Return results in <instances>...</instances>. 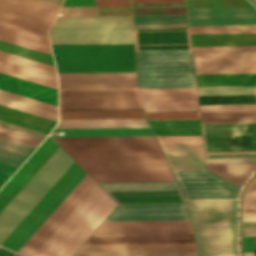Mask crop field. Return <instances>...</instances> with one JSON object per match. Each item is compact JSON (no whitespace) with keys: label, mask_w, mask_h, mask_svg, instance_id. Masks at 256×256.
<instances>
[{"label":"crop field","mask_w":256,"mask_h":256,"mask_svg":"<svg viewBox=\"0 0 256 256\" xmlns=\"http://www.w3.org/2000/svg\"><path fill=\"white\" fill-rule=\"evenodd\" d=\"M53 139L69 155L162 153L155 136ZM71 157L96 182L175 181L163 154Z\"/></svg>","instance_id":"obj_1"},{"label":"crop field","mask_w":256,"mask_h":256,"mask_svg":"<svg viewBox=\"0 0 256 256\" xmlns=\"http://www.w3.org/2000/svg\"><path fill=\"white\" fill-rule=\"evenodd\" d=\"M186 201L199 256H238L237 198Z\"/></svg>","instance_id":"obj_2"},{"label":"crop field","mask_w":256,"mask_h":256,"mask_svg":"<svg viewBox=\"0 0 256 256\" xmlns=\"http://www.w3.org/2000/svg\"><path fill=\"white\" fill-rule=\"evenodd\" d=\"M116 205L96 184L33 256H71Z\"/></svg>","instance_id":"obj_3"},{"label":"crop field","mask_w":256,"mask_h":256,"mask_svg":"<svg viewBox=\"0 0 256 256\" xmlns=\"http://www.w3.org/2000/svg\"><path fill=\"white\" fill-rule=\"evenodd\" d=\"M51 44L133 43L131 16L56 17Z\"/></svg>","instance_id":"obj_4"},{"label":"crop field","mask_w":256,"mask_h":256,"mask_svg":"<svg viewBox=\"0 0 256 256\" xmlns=\"http://www.w3.org/2000/svg\"><path fill=\"white\" fill-rule=\"evenodd\" d=\"M51 47L58 72L135 71L133 44Z\"/></svg>","instance_id":"obj_5"},{"label":"crop field","mask_w":256,"mask_h":256,"mask_svg":"<svg viewBox=\"0 0 256 256\" xmlns=\"http://www.w3.org/2000/svg\"><path fill=\"white\" fill-rule=\"evenodd\" d=\"M138 87L195 86L191 49L136 50Z\"/></svg>","instance_id":"obj_6"},{"label":"crop field","mask_w":256,"mask_h":256,"mask_svg":"<svg viewBox=\"0 0 256 256\" xmlns=\"http://www.w3.org/2000/svg\"><path fill=\"white\" fill-rule=\"evenodd\" d=\"M74 161L59 147L0 212V244Z\"/></svg>","instance_id":"obj_7"},{"label":"crop field","mask_w":256,"mask_h":256,"mask_svg":"<svg viewBox=\"0 0 256 256\" xmlns=\"http://www.w3.org/2000/svg\"><path fill=\"white\" fill-rule=\"evenodd\" d=\"M206 159L256 158V122L202 123Z\"/></svg>","instance_id":"obj_8"},{"label":"crop field","mask_w":256,"mask_h":256,"mask_svg":"<svg viewBox=\"0 0 256 256\" xmlns=\"http://www.w3.org/2000/svg\"><path fill=\"white\" fill-rule=\"evenodd\" d=\"M196 73L256 72V46L192 47Z\"/></svg>","instance_id":"obj_9"},{"label":"crop field","mask_w":256,"mask_h":256,"mask_svg":"<svg viewBox=\"0 0 256 256\" xmlns=\"http://www.w3.org/2000/svg\"><path fill=\"white\" fill-rule=\"evenodd\" d=\"M60 110L143 108L136 89L59 90Z\"/></svg>","instance_id":"obj_10"},{"label":"crop field","mask_w":256,"mask_h":256,"mask_svg":"<svg viewBox=\"0 0 256 256\" xmlns=\"http://www.w3.org/2000/svg\"><path fill=\"white\" fill-rule=\"evenodd\" d=\"M96 183L86 174L18 253L32 256Z\"/></svg>","instance_id":"obj_11"},{"label":"crop field","mask_w":256,"mask_h":256,"mask_svg":"<svg viewBox=\"0 0 256 256\" xmlns=\"http://www.w3.org/2000/svg\"><path fill=\"white\" fill-rule=\"evenodd\" d=\"M185 198L238 197L239 189L207 171H172Z\"/></svg>","instance_id":"obj_12"},{"label":"crop field","mask_w":256,"mask_h":256,"mask_svg":"<svg viewBox=\"0 0 256 256\" xmlns=\"http://www.w3.org/2000/svg\"><path fill=\"white\" fill-rule=\"evenodd\" d=\"M146 112L198 111L196 88L139 89Z\"/></svg>","instance_id":"obj_13"},{"label":"crop field","mask_w":256,"mask_h":256,"mask_svg":"<svg viewBox=\"0 0 256 256\" xmlns=\"http://www.w3.org/2000/svg\"><path fill=\"white\" fill-rule=\"evenodd\" d=\"M0 72L57 88L54 66L0 51Z\"/></svg>","instance_id":"obj_14"},{"label":"crop field","mask_w":256,"mask_h":256,"mask_svg":"<svg viewBox=\"0 0 256 256\" xmlns=\"http://www.w3.org/2000/svg\"><path fill=\"white\" fill-rule=\"evenodd\" d=\"M59 88L136 87L135 72L58 73Z\"/></svg>","instance_id":"obj_15"},{"label":"crop field","mask_w":256,"mask_h":256,"mask_svg":"<svg viewBox=\"0 0 256 256\" xmlns=\"http://www.w3.org/2000/svg\"><path fill=\"white\" fill-rule=\"evenodd\" d=\"M192 232L189 220L103 221L93 234Z\"/></svg>","instance_id":"obj_16"},{"label":"crop field","mask_w":256,"mask_h":256,"mask_svg":"<svg viewBox=\"0 0 256 256\" xmlns=\"http://www.w3.org/2000/svg\"><path fill=\"white\" fill-rule=\"evenodd\" d=\"M189 219L186 204L118 205L105 220Z\"/></svg>","instance_id":"obj_17"},{"label":"crop field","mask_w":256,"mask_h":256,"mask_svg":"<svg viewBox=\"0 0 256 256\" xmlns=\"http://www.w3.org/2000/svg\"><path fill=\"white\" fill-rule=\"evenodd\" d=\"M82 169L74 162L38 204L29 212L1 246L11 249Z\"/></svg>","instance_id":"obj_18"},{"label":"crop field","mask_w":256,"mask_h":256,"mask_svg":"<svg viewBox=\"0 0 256 256\" xmlns=\"http://www.w3.org/2000/svg\"><path fill=\"white\" fill-rule=\"evenodd\" d=\"M196 253L194 243L82 245L75 255Z\"/></svg>","instance_id":"obj_19"},{"label":"crop field","mask_w":256,"mask_h":256,"mask_svg":"<svg viewBox=\"0 0 256 256\" xmlns=\"http://www.w3.org/2000/svg\"><path fill=\"white\" fill-rule=\"evenodd\" d=\"M136 49L191 48L188 28L134 29Z\"/></svg>","instance_id":"obj_20"},{"label":"crop field","mask_w":256,"mask_h":256,"mask_svg":"<svg viewBox=\"0 0 256 256\" xmlns=\"http://www.w3.org/2000/svg\"><path fill=\"white\" fill-rule=\"evenodd\" d=\"M190 25L256 24L254 8L187 9Z\"/></svg>","instance_id":"obj_21"},{"label":"crop field","mask_w":256,"mask_h":256,"mask_svg":"<svg viewBox=\"0 0 256 256\" xmlns=\"http://www.w3.org/2000/svg\"><path fill=\"white\" fill-rule=\"evenodd\" d=\"M160 145L172 170H205L201 143Z\"/></svg>","instance_id":"obj_22"},{"label":"crop field","mask_w":256,"mask_h":256,"mask_svg":"<svg viewBox=\"0 0 256 256\" xmlns=\"http://www.w3.org/2000/svg\"><path fill=\"white\" fill-rule=\"evenodd\" d=\"M194 242L192 233L91 235L84 244Z\"/></svg>","instance_id":"obj_23"},{"label":"crop field","mask_w":256,"mask_h":256,"mask_svg":"<svg viewBox=\"0 0 256 256\" xmlns=\"http://www.w3.org/2000/svg\"><path fill=\"white\" fill-rule=\"evenodd\" d=\"M50 24L51 21L0 7V26L2 27L47 39Z\"/></svg>","instance_id":"obj_24"},{"label":"crop field","mask_w":256,"mask_h":256,"mask_svg":"<svg viewBox=\"0 0 256 256\" xmlns=\"http://www.w3.org/2000/svg\"><path fill=\"white\" fill-rule=\"evenodd\" d=\"M0 89L57 106V90L1 73Z\"/></svg>","instance_id":"obj_25"},{"label":"crop field","mask_w":256,"mask_h":256,"mask_svg":"<svg viewBox=\"0 0 256 256\" xmlns=\"http://www.w3.org/2000/svg\"><path fill=\"white\" fill-rule=\"evenodd\" d=\"M0 104L58 121L57 107L0 90Z\"/></svg>","instance_id":"obj_26"},{"label":"crop field","mask_w":256,"mask_h":256,"mask_svg":"<svg viewBox=\"0 0 256 256\" xmlns=\"http://www.w3.org/2000/svg\"><path fill=\"white\" fill-rule=\"evenodd\" d=\"M0 120L46 134H49L51 129L56 124V121L35 116L2 105H0Z\"/></svg>","instance_id":"obj_27"},{"label":"crop field","mask_w":256,"mask_h":256,"mask_svg":"<svg viewBox=\"0 0 256 256\" xmlns=\"http://www.w3.org/2000/svg\"><path fill=\"white\" fill-rule=\"evenodd\" d=\"M192 46L256 45V33L191 34Z\"/></svg>","instance_id":"obj_28"},{"label":"crop field","mask_w":256,"mask_h":256,"mask_svg":"<svg viewBox=\"0 0 256 256\" xmlns=\"http://www.w3.org/2000/svg\"><path fill=\"white\" fill-rule=\"evenodd\" d=\"M0 6L51 21L61 7L43 0H0Z\"/></svg>","instance_id":"obj_29"},{"label":"crop field","mask_w":256,"mask_h":256,"mask_svg":"<svg viewBox=\"0 0 256 256\" xmlns=\"http://www.w3.org/2000/svg\"><path fill=\"white\" fill-rule=\"evenodd\" d=\"M117 203L185 202L180 191L108 193Z\"/></svg>","instance_id":"obj_30"},{"label":"crop field","mask_w":256,"mask_h":256,"mask_svg":"<svg viewBox=\"0 0 256 256\" xmlns=\"http://www.w3.org/2000/svg\"><path fill=\"white\" fill-rule=\"evenodd\" d=\"M150 127L147 119L60 120L55 128Z\"/></svg>","instance_id":"obj_31"},{"label":"crop field","mask_w":256,"mask_h":256,"mask_svg":"<svg viewBox=\"0 0 256 256\" xmlns=\"http://www.w3.org/2000/svg\"><path fill=\"white\" fill-rule=\"evenodd\" d=\"M155 135H201L199 120H149Z\"/></svg>","instance_id":"obj_32"},{"label":"crop field","mask_w":256,"mask_h":256,"mask_svg":"<svg viewBox=\"0 0 256 256\" xmlns=\"http://www.w3.org/2000/svg\"><path fill=\"white\" fill-rule=\"evenodd\" d=\"M146 118L143 109L60 111V119Z\"/></svg>","instance_id":"obj_33"},{"label":"crop field","mask_w":256,"mask_h":256,"mask_svg":"<svg viewBox=\"0 0 256 256\" xmlns=\"http://www.w3.org/2000/svg\"><path fill=\"white\" fill-rule=\"evenodd\" d=\"M197 86L256 85V73L196 74Z\"/></svg>","instance_id":"obj_34"},{"label":"crop field","mask_w":256,"mask_h":256,"mask_svg":"<svg viewBox=\"0 0 256 256\" xmlns=\"http://www.w3.org/2000/svg\"><path fill=\"white\" fill-rule=\"evenodd\" d=\"M53 131H64V135L51 137L154 135L151 128L53 129Z\"/></svg>","instance_id":"obj_35"},{"label":"crop field","mask_w":256,"mask_h":256,"mask_svg":"<svg viewBox=\"0 0 256 256\" xmlns=\"http://www.w3.org/2000/svg\"><path fill=\"white\" fill-rule=\"evenodd\" d=\"M55 142L48 136L11 179L2 187L0 194L8 196Z\"/></svg>","instance_id":"obj_36"},{"label":"crop field","mask_w":256,"mask_h":256,"mask_svg":"<svg viewBox=\"0 0 256 256\" xmlns=\"http://www.w3.org/2000/svg\"><path fill=\"white\" fill-rule=\"evenodd\" d=\"M206 167L210 171L241 186L255 169L256 163L206 164Z\"/></svg>","instance_id":"obj_37"},{"label":"crop field","mask_w":256,"mask_h":256,"mask_svg":"<svg viewBox=\"0 0 256 256\" xmlns=\"http://www.w3.org/2000/svg\"><path fill=\"white\" fill-rule=\"evenodd\" d=\"M0 40L51 54L49 42L47 40L15 32L2 27H0Z\"/></svg>","instance_id":"obj_38"},{"label":"crop field","mask_w":256,"mask_h":256,"mask_svg":"<svg viewBox=\"0 0 256 256\" xmlns=\"http://www.w3.org/2000/svg\"><path fill=\"white\" fill-rule=\"evenodd\" d=\"M106 192L179 190L176 182L98 183Z\"/></svg>","instance_id":"obj_39"},{"label":"crop field","mask_w":256,"mask_h":256,"mask_svg":"<svg viewBox=\"0 0 256 256\" xmlns=\"http://www.w3.org/2000/svg\"><path fill=\"white\" fill-rule=\"evenodd\" d=\"M35 147L0 138V161L20 166Z\"/></svg>","instance_id":"obj_40"},{"label":"crop field","mask_w":256,"mask_h":256,"mask_svg":"<svg viewBox=\"0 0 256 256\" xmlns=\"http://www.w3.org/2000/svg\"><path fill=\"white\" fill-rule=\"evenodd\" d=\"M47 135L0 122V137L37 147Z\"/></svg>","instance_id":"obj_41"},{"label":"crop field","mask_w":256,"mask_h":256,"mask_svg":"<svg viewBox=\"0 0 256 256\" xmlns=\"http://www.w3.org/2000/svg\"><path fill=\"white\" fill-rule=\"evenodd\" d=\"M86 173L82 170L79 175L70 183V185L61 193V195L52 203V205L43 213V215L34 223V225L25 233V235L12 248L18 251L20 247L28 240L35 230L43 223V221L51 214V212L59 205V203L67 196L74 186L82 179Z\"/></svg>","instance_id":"obj_42"},{"label":"crop field","mask_w":256,"mask_h":256,"mask_svg":"<svg viewBox=\"0 0 256 256\" xmlns=\"http://www.w3.org/2000/svg\"><path fill=\"white\" fill-rule=\"evenodd\" d=\"M256 220V176L245 188L242 202V221Z\"/></svg>","instance_id":"obj_43"},{"label":"crop field","mask_w":256,"mask_h":256,"mask_svg":"<svg viewBox=\"0 0 256 256\" xmlns=\"http://www.w3.org/2000/svg\"><path fill=\"white\" fill-rule=\"evenodd\" d=\"M0 50L50 65H54L53 57L44 53H40L34 50L16 46L10 43L0 41ZM55 66V65H54Z\"/></svg>","instance_id":"obj_44"},{"label":"crop field","mask_w":256,"mask_h":256,"mask_svg":"<svg viewBox=\"0 0 256 256\" xmlns=\"http://www.w3.org/2000/svg\"><path fill=\"white\" fill-rule=\"evenodd\" d=\"M202 122L256 121V112L201 113Z\"/></svg>","instance_id":"obj_45"},{"label":"crop field","mask_w":256,"mask_h":256,"mask_svg":"<svg viewBox=\"0 0 256 256\" xmlns=\"http://www.w3.org/2000/svg\"><path fill=\"white\" fill-rule=\"evenodd\" d=\"M191 33L256 32V25L190 26Z\"/></svg>","instance_id":"obj_46"},{"label":"crop field","mask_w":256,"mask_h":256,"mask_svg":"<svg viewBox=\"0 0 256 256\" xmlns=\"http://www.w3.org/2000/svg\"><path fill=\"white\" fill-rule=\"evenodd\" d=\"M200 104L256 103L255 95L199 96Z\"/></svg>","instance_id":"obj_47"},{"label":"crop field","mask_w":256,"mask_h":256,"mask_svg":"<svg viewBox=\"0 0 256 256\" xmlns=\"http://www.w3.org/2000/svg\"><path fill=\"white\" fill-rule=\"evenodd\" d=\"M134 24L188 23L186 15L133 16Z\"/></svg>","instance_id":"obj_48"},{"label":"crop field","mask_w":256,"mask_h":256,"mask_svg":"<svg viewBox=\"0 0 256 256\" xmlns=\"http://www.w3.org/2000/svg\"><path fill=\"white\" fill-rule=\"evenodd\" d=\"M256 87L198 88L199 95L255 94Z\"/></svg>","instance_id":"obj_49"},{"label":"crop field","mask_w":256,"mask_h":256,"mask_svg":"<svg viewBox=\"0 0 256 256\" xmlns=\"http://www.w3.org/2000/svg\"><path fill=\"white\" fill-rule=\"evenodd\" d=\"M201 112L256 111V104L200 105Z\"/></svg>","instance_id":"obj_50"},{"label":"crop field","mask_w":256,"mask_h":256,"mask_svg":"<svg viewBox=\"0 0 256 256\" xmlns=\"http://www.w3.org/2000/svg\"><path fill=\"white\" fill-rule=\"evenodd\" d=\"M149 119H199L198 112L146 113Z\"/></svg>","instance_id":"obj_51"},{"label":"crop field","mask_w":256,"mask_h":256,"mask_svg":"<svg viewBox=\"0 0 256 256\" xmlns=\"http://www.w3.org/2000/svg\"><path fill=\"white\" fill-rule=\"evenodd\" d=\"M59 146L55 143L52 148L44 155V157L36 164V166L28 173V175L20 182V184L9 195L14 197L18 191L27 183V181L36 173V171L45 163V161L54 153Z\"/></svg>","instance_id":"obj_52"},{"label":"crop field","mask_w":256,"mask_h":256,"mask_svg":"<svg viewBox=\"0 0 256 256\" xmlns=\"http://www.w3.org/2000/svg\"><path fill=\"white\" fill-rule=\"evenodd\" d=\"M62 16L95 15L94 6L62 7Z\"/></svg>","instance_id":"obj_53"},{"label":"crop field","mask_w":256,"mask_h":256,"mask_svg":"<svg viewBox=\"0 0 256 256\" xmlns=\"http://www.w3.org/2000/svg\"><path fill=\"white\" fill-rule=\"evenodd\" d=\"M159 143L201 142V136H156Z\"/></svg>","instance_id":"obj_54"},{"label":"crop field","mask_w":256,"mask_h":256,"mask_svg":"<svg viewBox=\"0 0 256 256\" xmlns=\"http://www.w3.org/2000/svg\"><path fill=\"white\" fill-rule=\"evenodd\" d=\"M96 8L131 7L130 0H95Z\"/></svg>","instance_id":"obj_55"},{"label":"crop field","mask_w":256,"mask_h":256,"mask_svg":"<svg viewBox=\"0 0 256 256\" xmlns=\"http://www.w3.org/2000/svg\"><path fill=\"white\" fill-rule=\"evenodd\" d=\"M244 252L256 251V237H243Z\"/></svg>","instance_id":"obj_56"},{"label":"crop field","mask_w":256,"mask_h":256,"mask_svg":"<svg viewBox=\"0 0 256 256\" xmlns=\"http://www.w3.org/2000/svg\"><path fill=\"white\" fill-rule=\"evenodd\" d=\"M94 5V0H64L62 6Z\"/></svg>","instance_id":"obj_57"},{"label":"crop field","mask_w":256,"mask_h":256,"mask_svg":"<svg viewBox=\"0 0 256 256\" xmlns=\"http://www.w3.org/2000/svg\"><path fill=\"white\" fill-rule=\"evenodd\" d=\"M18 166L0 162V173L11 176Z\"/></svg>","instance_id":"obj_58"},{"label":"crop field","mask_w":256,"mask_h":256,"mask_svg":"<svg viewBox=\"0 0 256 256\" xmlns=\"http://www.w3.org/2000/svg\"><path fill=\"white\" fill-rule=\"evenodd\" d=\"M84 256H196V254L84 255Z\"/></svg>","instance_id":"obj_59"},{"label":"crop field","mask_w":256,"mask_h":256,"mask_svg":"<svg viewBox=\"0 0 256 256\" xmlns=\"http://www.w3.org/2000/svg\"><path fill=\"white\" fill-rule=\"evenodd\" d=\"M188 27V24L134 25V28Z\"/></svg>","instance_id":"obj_60"},{"label":"crop field","mask_w":256,"mask_h":256,"mask_svg":"<svg viewBox=\"0 0 256 256\" xmlns=\"http://www.w3.org/2000/svg\"><path fill=\"white\" fill-rule=\"evenodd\" d=\"M256 162V159L206 160V163Z\"/></svg>","instance_id":"obj_61"},{"label":"crop field","mask_w":256,"mask_h":256,"mask_svg":"<svg viewBox=\"0 0 256 256\" xmlns=\"http://www.w3.org/2000/svg\"><path fill=\"white\" fill-rule=\"evenodd\" d=\"M133 2H185V0H133Z\"/></svg>","instance_id":"obj_62"},{"label":"crop field","mask_w":256,"mask_h":256,"mask_svg":"<svg viewBox=\"0 0 256 256\" xmlns=\"http://www.w3.org/2000/svg\"><path fill=\"white\" fill-rule=\"evenodd\" d=\"M0 256H20V255L0 247Z\"/></svg>","instance_id":"obj_63"},{"label":"crop field","mask_w":256,"mask_h":256,"mask_svg":"<svg viewBox=\"0 0 256 256\" xmlns=\"http://www.w3.org/2000/svg\"><path fill=\"white\" fill-rule=\"evenodd\" d=\"M11 198L0 195V211L6 206Z\"/></svg>","instance_id":"obj_64"},{"label":"crop field","mask_w":256,"mask_h":256,"mask_svg":"<svg viewBox=\"0 0 256 256\" xmlns=\"http://www.w3.org/2000/svg\"><path fill=\"white\" fill-rule=\"evenodd\" d=\"M243 236H256V229H243Z\"/></svg>","instance_id":"obj_65"},{"label":"crop field","mask_w":256,"mask_h":256,"mask_svg":"<svg viewBox=\"0 0 256 256\" xmlns=\"http://www.w3.org/2000/svg\"><path fill=\"white\" fill-rule=\"evenodd\" d=\"M243 228H256L255 222H242Z\"/></svg>","instance_id":"obj_66"},{"label":"crop field","mask_w":256,"mask_h":256,"mask_svg":"<svg viewBox=\"0 0 256 256\" xmlns=\"http://www.w3.org/2000/svg\"><path fill=\"white\" fill-rule=\"evenodd\" d=\"M9 178V176H5L0 174V187L6 182V180Z\"/></svg>","instance_id":"obj_67"},{"label":"crop field","mask_w":256,"mask_h":256,"mask_svg":"<svg viewBox=\"0 0 256 256\" xmlns=\"http://www.w3.org/2000/svg\"><path fill=\"white\" fill-rule=\"evenodd\" d=\"M46 1H50V2H53V3L61 5L63 0H46Z\"/></svg>","instance_id":"obj_68"},{"label":"crop field","mask_w":256,"mask_h":256,"mask_svg":"<svg viewBox=\"0 0 256 256\" xmlns=\"http://www.w3.org/2000/svg\"><path fill=\"white\" fill-rule=\"evenodd\" d=\"M244 256H255V252H252V253H244Z\"/></svg>","instance_id":"obj_69"},{"label":"crop field","mask_w":256,"mask_h":256,"mask_svg":"<svg viewBox=\"0 0 256 256\" xmlns=\"http://www.w3.org/2000/svg\"><path fill=\"white\" fill-rule=\"evenodd\" d=\"M256 5V0H251Z\"/></svg>","instance_id":"obj_70"}]
</instances>
